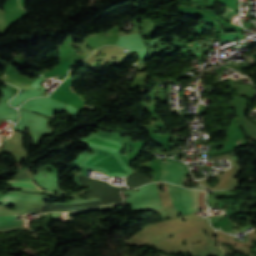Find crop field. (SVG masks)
<instances>
[{"instance_id": "1", "label": "crop field", "mask_w": 256, "mask_h": 256, "mask_svg": "<svg viewBox=\"0 0 256 256\" xmlns=\"http://www.w3.org/2000/svg\"><path fill=\"white\" fill-rule=\"evenodd\" d=\"M171 201L182 215L192 213L197 209L207 210L205 203L206 192L168 185Z\"/></svg>"}, {"instance_id": "2", "label": "crop field", "mask_w": 256, "mask_h": 256, "mask_svg": "<svg viewBox=\"0 0 256 256\" xmlns=\"http://www.w3.org/2000/svg\"><path fill=\"white\" fill-rule=\"evenodd\" d=\"M163 169V174L160 180L172 181L182 185L185 177L186 167L182 164L171 161H160Z\"/></svg>"}, {"instance_id": "3", "label": "crop field", "mask_w": 256, "mask_h": 256, "mask_svg": "<svg viewBox=\"0 0 256 256\" xmlns=\"http://www.w3.org/2000/svg\"><path fill=\"white\" fill-rule=\"evenodd\" d=\"M16 216H0V228L13 227L21 225V220H15Z\"/></svg>"}, {"instance_id": "4", "label": "crop field", "mask_w": 256, "mask_h": 256, "mask_svg": "<svg viewBox=\"0 0 256 256\" xmlns=\"http://www.w3.org/2000/svg\"><path fill=\"white\" fill-rule=\"evenodd\" d=\"M10 185L23 186L29 188H38L31 179L11 180L8 182Z\"/></svg>"}]
</instances>
